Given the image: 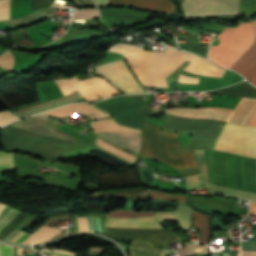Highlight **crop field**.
<instances>
[{
	"instance_id": "1",
	"label": "crop field",
	"mask_w": 256,
	"mask_h": 256,
	"mask_svg": "<svg viewBox=\"0 0 256 256\" xmlns=\"http://www.w3.org/2000/svg\"><path fill=\"white\" fill-rule=\"evenodd\" d=\"M143 47L118 43L109 47L108 51L123 54L138 79L144 86L165 87V79L171 75L184 61H191L185 71L221 77L223 69L194 55L166 49L165 53L142 51Z\"/></svg>"
},
{
	"instance_id": "2",
	"label": "crop field",
	"mask_w": 256,
	"mask_h": 256,
	"mask_svg": "<svg viewBox=\"0 0 256 256\" xmlns=\"http://www.w3.org/2000/svg\"><path fill=\"white\" fill-rule=\"evenodd\" d=\"M58 122L55 119L35 116L12 123L10 126L74 141L72 136L57 129ZM10 126L5 127L0 142V146L8 151L26 152L47 160H57L62 155L72 152V141Z\"/></svg>"
},
{
	"instance_id": "3",
	"label": "crop field",
	"mask_w": 256,
	"mask_h": 256,
	"mask_svg": "<svg viewBox=\"0 0 256 256\" xmlns=\"http://www.w3.org/2000/svg\"><path fill=\"white\" fill-rule=\"evenodd\" d=\"M222 157V152H221ZM220 152L214 150H205V162L208 168L209 183L225 187L256 193V167L255 159L240 156L241 164V182H240V164L239 156L223 153L224 180L222 181Z\"/></svg>"
},
{
	"instance_id": "4",
	"label": "crop field",
	"mask_w": 256,
	"mask_h": 256,
	"mask_svg": "<svg viewBox=\"0 0 256 256\" xmlns=\"http://www.w3.org/2000/svg\"><path fill=\"white\" fill-rule=\"evenodd\" d=\"M160 127L144 122L142 125V156L157 158L177 169L196 165L192 150L177 144L179 134L159 132Z\"/></svg>"
},
{
	"instance_id": "5",
	"label": "crop field",
	"mask_w": 256,
	"mask_h": 256,
	"mask_svg": "<svg viewBox=\"0 0 256 256\" xmlns=\"http://www.w3.org/2000/svg\"><path fill=\"white\" fill-rule=\"evenodd\" d=\"M217 37L220 43L210 47L209 57L219 65L229 68L254 41L255 29L251 22H240L238 27H225Z\"/></svg>"
},
{
	"instance_id": "6",
	"label": "crop field",
	"mask_w": 256,
	"mask_h": 256,
	"mask_svg": "<svg viewBox=\"0 0 256 256\" xmlns=\"http://www.w3.org/2000/svg\"><path fill=\"white\" fill-rule=\"evenodd\" d=\"M110 115L121 125L140 130V123L154 111L147 105L144 95H124L91 104Z\"/></svg>"
},
{
	"instance_id": "7",
	"label": "crop field",
	"mask_w": 256,
	"mask_h": 256,
	"mask_svg": "<svg viewBox=\"0 0 256 256\" xmlns=\"http://www.w3.org/2000/svg\"><path fill=\"white\" fill-rule=\"evenodd\" d=\"M224 122L215 120H187L166 117L164 130L193 133L187 148L192 150L213 149L224 126Z\"/></svg>"
},
{
	"instance_id": "8",
	"label": "crop field",
	"mask_w": 256,
	"mask_h": 256,
	"mask_svg": "<svg viewBox=\"0 0 256 256\" xmlns=\"http://www.w3.org/2000/svg\"><path fill=\"white\" fill-rule=\"evenodd\" d=\"M256 109V99L242 98L235 110L228 108H169L166 114L188 119H215L244 126Z\"/></svg>"
},
{
	"instance_id": "9",
	"label": "crop field",
	"mask_w": 256,
	"mask_h": 256,
	"mask_svg": "<svg viewBox=\"0 0 256 256\" xmlns=\"http://www.w3.org/2000/svg\"><path fill=\"white\" fill-rule=\"evenodd\" d=\"M214 149L256 158V128L227 123Z\"/></svg>"
},
{
	"instance_id": "10",
	"label": "crop field",
	"mask_w": 256,
	"mask_h": 256,
	"mask_svg": "<svg viewBox=\"0 0 256 256\" xmlns=\"http://www.w3.org/2000/svg\"><path fill=\"white\" fill-rule=\"evenodd\" d=\"M153 217L143 218H110L107 217L104 227L113 228H162L157 221L177 220L180 227L187 229L190 225V209L179 205L176 211L155 213Z\"/></svg>"
},
{
	"instance_id": "11",
	"label": "crop field",
	"mask_w": 256,
	"mask_h": 256,
	"mask_svg": "<svg viewBox=\"0 0 256 256\" xmlns=\"http://www.w3.org/2000/svg\"><path fill=\"white\" fill-rule=\"evenodd\" d=\"M64 95L78 91L87 101L97 99L95 94L102 98L110 97L112 94L120 93L105 79L94 77L80 81L76 77L56 81Z\"/></svg>"
},
{
	"instance_id": "12",
	"label": "crop field",
	"mask_w": 256,
	"mask_h": 256,
	"mask_svg": "<svg viewBox=\"0 0 256 256\" xmlns=\"http://www.w3.org/2000/svg\"><path fill=\"white\" fill-rule=\"evenodd\" d=\"M102 121H114L112 118L102 119L92 122ZM94 131H106V132H129V133H140L139 130L122 127L115 122H103V123H90ZM96 132L105 139L129 150L136 154H139L141 139L140 134H129V133H106ZM138 156V155H137Z\"/></svg>"
},
{
	"instance_id": "13",
	"label": "crop field",
	"mask_w": 256,
	"mask_h": 256,
	"mask_svg": "<svg viewBox=\"0 0 256 256\" xmlns=\"http://www.w3.org/2000/svg\"><path fill=\"white\" fill-rule=\"evenodd\" d=\"M95 72L97 75L105 77L126 94L146 92L131 75L123 59L101 64L97 66Z\"/></svg>"
},
{
	"instance_id": "14",
	"label": "crop field",
	"mask_w": 256,
	"mask_h": 256,
	"mask_svg": "<svg viewBox=\"0 0 256 256\" xmlns=\"http://www.w3.org/2000/svg\"><path fill=\"white\" fill-rule=\"evenodd\" d=\"M185 15L231 14L232 0H186ZM238 0H233L232 14H237Z\"/></svg>"
},
{
	"instance_id": "15",
	"label": "crop field",
	"mask_w": 256,
	"mask_h": 256,
	"mask_svg": "<svg viewBox=\"0 0 256 256\" xmlns=\"http://www.w3.org/2000/svg\"><path fill=\"white\" fill-rule=\"evenodd\" d=\"M102 16L103 24L107 27L124 24H140L148 21L150 14L136 12L129 9H101L99 10Z\"/></svg>"
},
{
	"instance_id": "16",
	"label": "crop field",
	"mask_w": 256,
	"mask_h": 256,
	"mask_svg": "<svg viewBox=\"0 0 256 256\" xmlns=\"http://www.w3.org/2000/svg\"><path fill=\"white\" fill-rule=\"evenodd\" d=\"M106 233L121 240L148 239L154 245L164 244L165 240L172 233L171 230H125L105 228Z\"/></svg>"
},
{
	"instance_id": "17",
	"label": "crop field",
	"mask_w": 256,
	"mask_h": 256,
	"mask_svg": "<svg viewBox=\"0 0 256 256\" xmlns=\"http://www.w3.org/2000/svg\"><path fill=\"white\" fill-rule=\"evenodd\" d=\"M59 229L57 228H53V227H49V226H45L42 225L40 228H38L33 234H31L29 236V234L27 233H23L22 231L16 229L14 230L12 233H10L4 241H11L12 239H14L18 234V235L14 240H12L11 242L14 243H21L25 238H28L26 240H24L22 243L24 244H31V243H36V242H41V241H45L51 237H53L54 235H56L58 233Z\"/></svg>"
},
{
	"instance_id": "18",
	"label": "crop field",
	"mask_w": 256,
	"mask_h": 256,
	"mask_svg": "<svg viewBox=\"0 0 256 256\" xmlns=\"http://www.w3.org/2000/svg\"><path fill=\"white\" fill-rule=\"evenodd\" d=\"M231 68L256 85V41Z\"/></svg>"
},
{
	"instance_id": "19",
	"label": "crop field",
	"mask_w": 256,
	"mask_h": 256,
	"mask_svg": "<svg viewBox=\"0 0 256 256\" xmlns=\"http://www.w3.org/2000/svg\"><path fill=\"white\" fill-rule=\"evenodd\" d=\"M81 99L83 98L77 92H75L66 97L46 101L43 103H39L33 106H29L23 109L13 111V114L16 116L17 119H19V118H22L34 113H38V112L68 103V102L79 101Z\"/></svg>"
},
{
	"instance_id": "20",
	"label": "crop field",
	"mask_w": 256,
	"mask_h": 256,
	"mask_svg": "<svg viewBox=\"0 0 256 256\" xmlns=\"http://www.w3.org/2000/svg\"><path fill=\"white\" fill-rule=\"evenodd\" d=\"M71 113H84L88 116L104 114V112H101L91 107L88 103H81V104H70L68 106L43 113L42 115L62 117V116L69 115ZM105 117H109V115L104 114V115L92 116L91 120L105 118Z\"/></svg>"
},
{
	"instance_id": "21",
	"label": "crop field",
	"mask_w": 256,
	"mask_h": 256,
	"mask_svg": "<svg viewBox=\"0 0 256 256\" xmlns=\"http://www.w3.org/2000/svg\"><path fill=\"white\" fill-rule=\"evenodd\" d=\"M109 4H125L177 14L175 5L169 0H109Z\"/></svg>"
},
{
	"instance_id": "22",
	"label": "crop field",
	"mask_w": 256,
	"mask_h": 256,
	"mask_svg": "<svg viewBox=\"0 0 256 256\" xmlns=\"http://www.w3.org/2000/svg\"><path fill=\"white\" fill-rule=\"evenodd\" d=\"M202 204L204 207L216 210L217 213L221 214H235L237 202H233L232 199H220V198H204V197H191L186 196Z\"/></svg>"
},
{
	"instance_id": "23",
	"label": "crop field",
	"mask_w": 256,
	"mask_h": 256,
	"mask_svg": "<svg viewBox=\"0 0 256 256\" xmlns=\"http://www.w3.org/2000/svg\"><path fill=\"white\" fill-rule=\"evenodd\" d=\"M20 213L11 210L7 207L0 213V232H2L14 219H16ZM27 217V215L21 214L15 221H13L1 234L0 240H4V238L15 228H17L23 220Z\"/></svg>"
},
{
	"instance_id": "24",
	"label": "crop field",
	"mask_w": 256,
	"mask_h": 256,
	"mask_svg": "<svg viewBox=\"0 0 256 256\" xmlns=\"http://www.w3.org/2000/svg\"><path fill=\"white\" fill-rule=\"evenodd\" d=\"M197 164L199 166L201 175L189 176L186 178V188H206L208 187V175L204 164L203 151H194Z\"/></svg>"
},
{
	"instance_id": "25",
	"label": "crop field",
	"mask_w": 256,
	"mask_h": 256,
	"mask_svg": "<svg viewBox=\"0 0 256 256\" xmlns=\"http://www.w3.org/2000/svg\"><path fill=\"white\" fill-rule=\"evenodd\" d=\"M103 220L96 217H74L76 232H103Z\"/></svg>"
},
{
	"instance_id": "26",
	"label": "crop field",
	"mask_w": 256,
	"mask_h": 256,
	"mask_svg": "<svg viewBox=\"0 0 256 256\" xmlns=\"http://www.w3.org/2000/svg\"><path fill=\"white\" fill-rule=\"evenodd\" d=\"M255 88L252 87L248 82H243L241 84H238V85H235V86H232L229 88L212 91V93L239 96V97H247V98H256V89Z\"/></svg>"
},
{
	"instance_id": "27",
	"label": "crop field",
	"mask_w": 256,
	"mask_h": 256,
	"mask_svg": "<svg viewBox=\"0 0 256 256\" xmlns=\"http://www.w3.org/2000/svg\"><path fill=\"white\" fill-rule=\"evenodd\" d=\"M130 256H161V250L154 248L147 242L132 241Z\"/></svg>"
},
{
	"instance_id": "28",
	"label": "crop field",
	"mask_w": 256,
	"mask_h": 256,
	"mask_svg": "<svg viewBox=\"0 0 256 256\" xmlns=\"http://www.w3.org/2000/svg\"><path fill=\"white\" fill-rule=\"evenodd\" d=\"M148 190L137 188L132 190H117L98 193L99 198L103 197H131L139 200L147 198Z\"/></svg>"
},
{
	"instance_id": "29",
	"label": "crop field",
	"mask_w": 256,
	"mask_h": 256,
	"mask_svg": "<svg viewBox=\"0 0 256 256\" xmlns=\"http://www.w3.org/2000/svg\"><path fill=\"white\" fill-rule=\"evenodd\" d=\"M210 186V194H216V195H233L236 197H240L247 200L256 199V194L227 189L220 186L211 185Z\"/></svg>"
},
{
	"instance_id": "30",
	"label": "crop field",
	"mask_w": 256,
	"mask_h": 256,
	"mask_svg": "<svg viewBox=\"0 0 256 256\" xmlns=\"http://www.w3.org/2000/svg\"><path fill=\"white\" fill-rule=\"evenodd\" d=\"M194 227H201V238L199 243L207 244L209 234V216L194 212Z\"/></svg>"
},
{
	"instance_id": "31",
	"label": "crop field",
	"mask_w": 256,
	"mask_h": 256,
	"mask_svg": "<svg viewBox=\"0 0 256 256\" xmlns=\"http://www.w3.org/2000/svg\"><path fill=\"white\" fill-rule=\"evenodd\" d=\"M187 46H188V51L195 53L197 55L203 56L205 58L207 55V48L202 47L200 45H198V40H197V36L190 33V35L187 38Z\"/></svg>"
},
{
	"instance_id": "32",
	"label": "crop field",
	"mask_w": 256,
	"mask_h": 256,
	"mask_svg": "<svg viewBox=\"0 0 256 256\" xmlns=\"http://www.w3.org/2000/svg\"><path fill=\"white\" fill-rule=\"evenodd\" d=\"M95 143L98 144L99 146H101V147H103V148L121 156V157H124V158L132 161V162H134L135 159L137 158L136 156H134V155H132V154L126 152V151H123V150H121V149H119V148H117V147H115L111 144H108V143L104 142L100 138H98Z\"/></svg>"
},
{
	"instance_id": "33",
	"label": "crop field",
	"mask_w": 256,
	"mask_h": 256,
	"mask_svg": "<svg viewBox=\"0 0 256 256\" xmlns=\"http://www.w3.org/2000/svg\"><path fill=\"white\" fill-rule=\"evenodd\" d=\"M14 256H22L27 254V248L13 247ZM12 246L0 244V256H13ZM33 251L28 248V254Z\"/></svg>"
},
{
	"instance_id": "34",
	"label": "crop field",
	"mask_w": 256,
	"mask_h": 256,
	"mask_svg": "<svg viewBox=\"0 0 256 256\" xmlns=\"http://www.w3.org/2000/svg\"><path fill=\"white\" fill-rule=\"evenodd\" d=\"M239 14L245 16L256 14V0H240Z\"/></svg>"
},
{
	"instance_id": "35",
	"label": "crop field",
	"mask_w": 256,
	"mask_h": 256,
	"mask_svg": "<svg viewBox=\"0 0 256 256\" xmlns=\"http://www.w3.org/2000/svg\"><path fill=\"white\" fill-rule=\"evenodd\" d=\"M149 197L155 198V199L167 200V201L181 202V203H184V199H185V196L164 194V193H159L155 191H150Z\"/></svg>"
},
{
	"instance_id": "36",
	"label": "crop field",
	"mask_w": 256,
	"mask_h": 256,
	"mask_svg": "<svg viewBox=\"0 0 256 256\" xmlns=\"http://www.w3.org/2000/svg\"><path fill=\"white\" fill-rule=\"evenodd\" d=\"M10 39L11 41L21 44V45H35L32 42H30L24 33V29L22 30H17V31H12L9 32Z\"/></svg>"
},
{
	"instance_id": "37",
	"label": "crop field",
	"mask_w": 256,
	"mask_h": 256,
	"mask_svg": "<svg viewBox=\"0 0 256 256\" xmlns=\"http://www.w3.org/2000/svg\"><path fill=\"white\" fill-rule=\"evenodd\" d=\"M73 18L88 19L99 18L98 11L96 9H77Z\"/></svg>"
},
{
	"instance_id": "38",
	"label": "crop field",
	"mask_w": 256,
	"mask_h": 256,
	"mask_svg": "<svg viewBox=\"0 0 256 256\" xmlns=\"http://www.w3.org/2000/svg\"><path fill=\"white\" fill-rule=\"evenodd\" d=\"M153 212H145V213H134L129 211H112L107 216L110 217H142V216H152Z\"/></svg>"
},
{
	"instance_id": "39",
	"label": "crop field",
	"mask_w": 256,
	"mask_h": 256,
	"mask_svg": "<svg viewBox=\"0 0 256 256\" xmlns=\"http://www.w3.org/2000/svg\"><path fill=\"white\" fill-rule=\"evenodd\" d=\"M13 156L12 153L3 154L0 152V172L13 168Z\"/></svg>"
},
{
	"instance_id": "40",
	"label": "crop field",
	"mask_w": 256,
	"mask_h": 256,
	"mask_svg": "<svg viewBox=\"0 0 256 256\" xmlns=\"http://www.w3.org/2000/svg\"><path fill=\"white\" fill-rule=\"evenodd\" d=\"M14 62V56L8 50L2 56H0V67L5 68L7 70H11Z\"/></svg>"
},
{
	"instance_id": "41",
	"label": "crop field",
	"mask_w": 256,
	"mask_h": 256,
	"mask_svg": "<svg viewBox=\"0 0 256 256\" xmlns=\"http://www.w3.org/2000/svg\"><path fill=\"white\" fill-rule=\"evenodd\" d=\"M54 0H32L33 12L42 8L50 7Z\"/></svg>"
},
{
	"instance_id": "42",
	"label": "crop field",
	"mask_w": 256,
	"mask_h": 256,
	"mask_svg": "<svg viewBox=\"0 0 256 256\" xmlns=\"http://www.w3.org/2000/svg\"><path fill=\"white\" fill-rule=\"evenodd\" d=\"M9 19V0H0V20Z\"/></svg>"
},
{
	"instance_id": "43",
	"label": "crop field",
	"mask_w": 256,
	"mask_h": 256,
	"mask_svg": "<svg viewBox=\"0 0 256 256\" xmlns=\"http://www.w3.org/2000/svg\"><path fill=\"white\" fill-rule=\"evenodd\" d=\"M11 121H15V119L9 111L0 112V125Z\"/></svg>"
},
{
	"instance_id": "44",
	"label": "crop field",
	"mask_w": 256,
	"mask_h": 256,
	"mask_svg": "<svg viewBox=\"0 0 256 256\" xmlns=\"http://www.w3.org/2000/svg\"><path fill=\"white\" fill-rule=\"evenodd\" d=\"M188 249L193 253H209L207 247L201 245H188Z\"/></svg>"
},
{
	"instance_id": "45",
	"label": "crop field",
	"mask_w": 256,
	"mask_h": 256,
	"mask_svg": "<svg viewBox=\"0 0 256 256\" xmlns=\"http://www.w3.org/2000/svg\"><path fill=\"white\" fill-rule=\"evenodd\" d=\"M178 82H183V83H196V84H198V79L192 78V77H188V76L180 75Z\"/></svg>"
},
{
	"instance_id": "46",
	"label": "crop field",
	"mask_w": 256,
	"mask_h": 256,
	"mask_svg": "<svg viewBox=\"0 0 256 256\" xmlns=\"http://www.w3.org/2000/svg\"><path fill=\"white\" fill-rule=\"evenodd\" d=\"M53 254L58 256H75V253L53 249Z\"/></svg>"
},
{
	"instance_id": "47",
	"label": "crop field",
	"mask_w": 256,
	"mask_h": 256,
	"mask_svg": "<svg viewBox=\"0 0 256 256\" xmlns=\"http://www.w3.org/2000/svg\"><path fill=\"white\" fill-rule=\"evenodd\" d=\"M241 256H256V250L242 248Z\"/></svg>"
},
{
	"instance_id": "48",
	"label": "crop field",
	"mask_w": 256,
	"mask_h": 256,
	"mask_svg": "<svg viewBox=\"0 0 256 256\" xmlns=\"http://www.w3.org/2000/svg\"><path fill=\"white\" fill-rule=\"evenodd\" d=\"M246 126H253L256 127V110L255 112L252 114V116L249 118Z\"/></svg>"
},
{
	"instance_id": "49",
	"label": "crop field",
	"mask_w": 256,
	"mask_h": 256,
	"mask_svg": "<svg viewBox=\"0 0 256 256\" xmlns=\"http://www.w3.org/2000/svg\"><path fill=\"white\" fill-rule=\"evenodd\" d=\"M207 17H220L222 19H235L239 16L223 15V16H202V17H187V18H207Z\"/></svg>"
},
{
	"instance_id": "50",
	"label": "crop field",
	"mask_w": 256,
	"mask_h": 256,
	"mask_svg": "<svg viewBox=\"0 0 256 256\" xmlns=\"http://www.w3.org/2000/svg\"><path fill=\"white\" fill-rule=\"evenodd\" d=\"M179 256H187V255H192V253L188 250H182V249H177Z\"/></svg>"
},
{
	"instance_id": "51",
	"label": "crop field",
	"mask_w": 256,
	"mask_h": 256,
	"mask_svg": "<svg viewBox=\"0 0 256 256\" xmlns=\"http://www.w3.org/2000/svg\"><path fill=\"white\" fill-rule=\"evenodd\" d=\"M250 210H251V213L256 215V200L251 202Z\"/></svg>"
},
{
	"instance_id": "52",
	"label": "crop field",
	"mask_w": 256,
	"mask_h": 256,
	"mask_svg": "<svg viewBox=\"0 0 256 256\" xmlns=\"http://www.w3.org/2000/svg\"><path fill=\"white\" fill-rule=\"evenodd\" d=\"M242 247L256 249V244L242 242Z\"/></svg>"
},
{
	"instance_id": "53",
	"label": "crop field",
	"mask_w": 256,
	"mask_h": 256,
	"mask_svg": "<svg viewBox=\"0 0 256 256\" xmlns=\"http://www.w3.org/2000/svg\"><path fill=\"white\" fill-rule=\"evenodd\" d=\"M99 6L108 5V0H97Z\"/></svg>"
},
{
	"instance_id": "54",
	"label": "crop field",
	"mask_w": 256,
	"mask_h": 256,
	"mask_svg": "<svg viewBox=\"0 0 256 256\" xmlns=\"http://www.w3.org/2000/svg\"><path fill=\"white\" fill-rule=\"evenodd\" d=\"M42 252H43V253H47V254H50V255H51V251H50V250L45 249V250H43Z\"/></svg>"
},
{
	"instance_id": "55",
	"label": "crop field",
	"mask_w": 256,
	"mask_h": 256,
	"mask_svg": "<svg viewBox=\"0 0 256 256\" xmlns=\"http://www.w3.org/2000/svg\"><path fill=\"white\" fill-rule=\"evenodd\" d=\"M4 207L5 205L0 203V212L3 210Z\"/></svg>"
},
{
	"instance_id": "56",
	"label": "crop field",
	"mask_w": 256,
	"mask_h": 256,
	"mask_svg": "<svg viewBox=\"0 0 256 256\" xmlns=\"http://www.w3.org/2000/svg\"><path fill=\"white\" fill-rule=\"evenodd\" d=\"M101 252H89V254H100Z\"/></svg>"
},
{
	"instance_id": "57",
	"label": "crop field",
	"mask_w": 256,
	"mask_h": 256,
	"mask_svg": "<svg viewBox=\"0 0 256 256\" xmlns=\"http://www.w3.org/2000/svg\"><path fill=\"white\" fill-rule=\"evenodd\" d=\"M232 245H239L238 242H232Z\"/></svg>"
},
{
	"instance_id": "58",
	"label": "crop field",
	"mask_w": 256,
	"mask_h": 256,
	"mask_svg": "<svg viewBox=\"0 0 256 256\" xmlns=\"http://www.w3.org/2000/svg\"><path fill=\"white\" fill-rule=\"evenodd\" d=\"M253 22H254V24H255V27H256V19H255V20H253Z\"/></svg>"
}]
</instances>
